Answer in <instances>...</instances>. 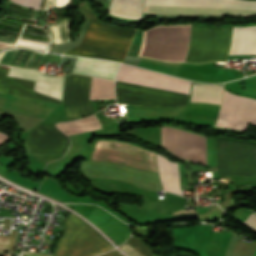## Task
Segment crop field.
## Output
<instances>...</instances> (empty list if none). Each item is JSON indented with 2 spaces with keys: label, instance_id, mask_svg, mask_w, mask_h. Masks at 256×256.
<instances>
[{
  "label": "crop field",
  "instance_id": "obj_22",
  "mask_svg": "<svg viewBox=\"0 0 256 256\" xmlns=\"http://www.w3.org/2000/svg\"><path fill=\"white\" fill-rule=\"evenodd\" d=\"M9 138L7 137L6 134L0 133V145L6 142Z\"/></svg>",
  "mask_w": 256,
  "mask_h": 256
},
{
  "label": "crop field",
  "instance_id": "obj_2",
  "mask_svg": "<svg viewBox=\"0 0 256 256\" xmlns=\"http://www.w3.org/2000/svg\"><path fill=\"white\" fill-rule=\"evenodd\" d=\"M112 248L94 229L73 214L64 224V236L59 240L53 256H95Z\"/></svg>",
  "mask_w": 256,
  "mask_h": 256
},
{
  "label": "crop field",
  "instance_id": "obj_7",
  "mask_svg": "<svg viewBox=\"0 0 256 256\" xmlns=\"http://www.w3.org/2000/svg\"><path fill=\"white\" fill-rule=\"evenodd\" d=\"M118 81L189 94L190 82L122 64Z\"/></svg>",
  "mask_w": 256,
  "mask_h": 256
},
{
  "label": "crop field",
  "instance_id": "obj_3",
  "mask_svg": "<svg viewBox=\"0 0 256 256\" xmlns=\"http://www.w3.org/2000/svg\"><path fill=\"white\" fill-rule=\"evenodd\" d=\"M144 4L256 6L249 0H145ZM144 5L143 12L183 14H246L256 15V7L166 6Z\"/></svg>",
  "mask_w": 256,
  "mask_h": 256
},
{
  "label": "crop field",
  "instance_id": "obj_14",
  "mask_svg": "<svg viewBox=\"0 0 256 256\" xmlns=\"http://www.w3.org/2000/svg\"><path fill=\"white\" fill-rule=\"evenodd\" d=\"M57 127L67 135L101 128L95 115L71 122L59 123L57 124Z\"/></svg>",
  "mask_w": 256,
  "mask_h": 256
},
{
  "label": "crop field",
  "instance_id": "obj_21",
  "mask_svg": "<svg viewBox=\"0 0 256 256\" xmlns=\"http://www.w3.org/2000/svg\"><path fill=\"white\" fill-rule=\"evenodd\" d=\"M100 256H122V255L119 254L117 251L113 250L109 253H106V254H103V255H100Z\"/></svg>",
  "mask_w": 256,
  "mask_h": 256
},
{
  "label": "crop field",
  "instance_id": "obj_12",
  "mask_svg": "<svg viewBox=\"0 0 256 256\" xmlns=\"http://www.w3.org/2000/svg\"><path fill=\"white\" fill-rule=\"evenodd\" d=\"M143 0H112L109 13L131 19L141 18Z\"/></svg>",
  "mask_w": 256,
  "mask_h": 256
},
{
  "label": "crop field",
  "instance_id": "obj_10",
  "mask_svg": "<svg viewBox=\"0 0 256 256\" xmlns=\"http://www.w3.org/2000/svg\"><path fill=\"white\" fill-rule=\"evenodd\" d=\"M256 54V26L234 27L229 55Z\"/></svg>",
  "mask_w": 256,
  "mask_h": 256
},
{
  "label": "crop field",
  "instance_id": "obj_15",
  "mask_svg": "<svg viewBox=\"0 0 256 256\" xmlns=\"http://www.w3.org/2000/svg\"><path fill=\"white\" fill-rule=\"evenodd\" d=\"M114 97V81L91 77V99Z\"/></svg>",
  "mask_w": 256,
  "mask_h": 256
},
{
  "label": "crop field",
  "instance_id": "obj_16",
  "mask_svg": "<svg viewBox=\"0 0 256 256\" xmlns=\"http://www.w3.org/2000/svg\"><path fill=\"white\" fill-rule=\"evenodd\" d=\"M125 243L144 256H155L148 243L133 235ZM126 244H123L120 247L130 256H142Z\"/></svg>",
  "mask_w": 256,
  "mask_h": 256
},
{
  "label": "crop field",
  "instance_id": "obj_18",
  "mask_svg": "<svg viewBox=\"0 0 256 256\" xmlns=\"http://www.w3.org/2000/svg\"><path fill=\"white\" fill-rule=\"evenodd\" d=\"M14 3L38 9L41 0H11Z\"/></svg>",
  "mask_w": 256,
  "mask_h": 256
},
{
  "label": "crop field",
  "instance_id": "obj_5",
  "mask_svg": "<svg viewBox=\"0 0 256 256\" xmlns=\"http://www.w3.org/2000/svg\"><path fill=\"white\" fill-rule=\"evenodd\" d=\"M251 120V123L256 124V100L235 96L224 90L216 125L245 130Z\"/></svg>",
  "mask_w": 256,
  "mask_h": 256
},
{
  "label": "crop field",
  "instance_id": "obj_1",
  "mask_svg": "<svg viewBox=\"0 0 256 256\" xmlns=\"http://www.w3.org/2000/svg\"><path fill=\"white\" fill-rule=\"evenodd\" d=\"M81 7L89 27L83 42L65 54L123 62L136 31L102 25L87 3Z\"/></svg>",
  "mask_w": 256,
  "mask_h": 256
},
{
  "label": "crop field",
  "instance_id": "obj_11",
  "mask_svg": "<svg viewBox=\"0 0 256 256\" xmlns=\"http://www.w3.org/2000/svg\"><path fill=\"white\" fill-rule=\"evenodd\" d=\"M157 158L159 175L163 190L173 191L182 195L177 164L169 162L166 158L159 154H157Z\"/></svg>",
  "mask_w": 256,
  "mask_h": 256
},
{
  "label": "crop field",
  "instance_id": "obj_4",
  "mask_svg": "<svg viewBox=\"0 0 256 256\" xmlns=\"http://www.w3.org/2000/svg\"><path fill=\"white\" fill-rule=\"evenodd\" d=\"M90 160L112 162L158 173L156 153L123 142L98 140Z\"/></svg>",
  "mask_w": 256,
  "mask_h": 256
},
{
  "label": "crop field",
  "instance_id": "obj_9",
  "mask_svg": "<svg viewBox=\"0 0 256 256\" xmlns=\"http://www.w3.org/2000/svg\"><path fill=\"white\" fill-rule=\"evenodd\" d=\"M118 66L117 63L78 58L72 73L114 80Z\"/></svg>",
  "mask_w": 256,
  "mask_h": 256
},
{
  "label": "crop field",
  "instance_id": "obj_6",
  "mask_svg": "<svg viewBox=\"0 0 256 256\" xmlns=\"http://www.w3.org/2000/svg\"><path fill=\"white\" fill-rule=\"evenodd\" d=\"M162 142L163 147L177 156L206 164V138L164 127L162 129Z\"/></svg>",
  "mask_w": 256,
  "mask_h": 256
},
{
  "label": "crop field",
  "instance_id": "obj_13",
  "mask_svg": "<svg viewBox=\"0 0 256 256\" xmlns=\"http://www.w3.org/2000/svg\"><path fill=\"white\" fill-rule=\"evenodd\" d=\"M223 86L194 83L190 102H206L220 105Z\"/></svg>",
  "mask_w": 256,
  "mask_h": 256
},
{
  "label": "crop field",
  "instance_id": "obj_17",
  "mask_svg": "<svg viewBox=\"0 0 256 256\" xmlns=\"http://www.w3.org/2000/svg\"><path fill=\"white\" fill-rule=\"evenodd\" d=\"M18 232L19 231L12 230V233L10 236L0 235V246L14 248ZM2 247H0V256H3V253L5 251L11 250L10 248H2Z\"/></svg>",
  "mask_w": 256,
  "mask_h": 256
},
{
  "label": "crop field",
  "instance_id": "obj_19",
  "mask_svg": "<svg viewBox=\"0 0 256 256\" xmlns=\"http://www.w3.org/2000/svg\"><path fill=\"white\" fill-rule=\"evenodd\" d=\"M244 224H246L247 226H249L251 229H253L256 232V215L251 213Z\"/></svg>",
  "mask_w": 256,
  "mask_h": 256
},
{
  "label": "crop field",
  "instance_id": "obj_20",
  "mask_svg": "<svg viewBox=\"0 0 256 256\" xmlns=\"http://www.w3.org/2000/svg\"><path fill=\"white\" fill-rule=\"evenodd\" d=\"M22 256H52V255H44L40 253H28V252H23Z\"/></svg>",
  "mask_w": 256,
  "mask_h": 256
},
{
  "label": "crop field",
  "instance_id": "obj_8",
  "mask_svg": "<svg viewBox=\"0 0 256 256\" xmlns=\"http://www.w3.org/2000/svg\"><path fill=\"white\" fill-rule=\"evenodd\" d=\"M8 76L35 81V91L61 100L63 77L47 76L36 70L11 67Z\"/></svg>",
  "mask_w": 256,
  "mask_h": 256
}]
</instances>
